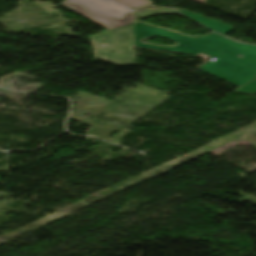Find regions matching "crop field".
<instances>
[{
  "mask_svg": "<svg viewBox=\"0 0 256 256\" xmlns=\"http://www.w3.org/2000/svg\"><path fill=\"white\" fill-rule=\"evenodd\" d=\"M133 28L136 47L210 55L219 60L208 62L199 69L238 87L256 77V46L238 44L214 33L204 38L189 37L139 22L134 23ZM147 36H161L178 45L164 47L141 43L140 39ZM238 53L244 57H236Z\"/></svg>",
  "mask_w": 256,
  "mask_h": 256,
  "instance_id": "1",
  "label": "crop field"
},
{
  "mask_svg": "<svg viewBox=\"0 0 256 256\" xmlns=\"http://www.w3.org/2000/svg\"><path fill=\"white\" fill-rule=\"evenodd\" d=\"M149 4L147 0H65L60 5L112 30L134 20V11Z\"/></svg>",
  "mask_w": 256,
  "mask_h": 256,
  "instance_id": "2",
  "label": "crop field"
},
{
  "mask_svg": "<svg viewBox=\"0 0 256 256\" xmlns=\"http://www.w3.org/2000/svg\"><path fill=\"white\" fill-rule=\"evenodd\" d=\"M90 39L96 59L116 65L136 64L131 25Z\"/></svg>",
  "mask_w": 256,
  "mask_h": 256,
  "instance_id": "3",
  "label": "crop field"
},
{
  "mask_svg": "<svg viewBox=\"0 0 256 256\" xmlns=\"http://www.w3.org/2000/svg\"><path fill=\"white\" fill-rule=\"evenodd\" d=\"M163 13H176L177 12L170 10V9H165V8H161V9H157V10H151V9H146L145 7L140 9L139 11H137V16L144 18L147 17L149 15L152 14H163Z\"/></svg>",
  "mask_w": 256,
  "mask_h": 256,
  "instance_id": "4",
  "label": "crop field"
},
{
  "mask_svg": "<svg viewBox=\"0 0 256 256\" xmlns=\"http://www.w3.org/2000/svg\"><path fill=\"white\" fill-rule=\"evenodd\" d=\"M235 92L247 95L253 94L254 92H256V79L244 85L243 87L235 90Z\"/></svg>",
  "mask_w": 256,
  "mask_h": 256,
  "instance_id": "5",
  "label": "crop field"
}]
</instances>
